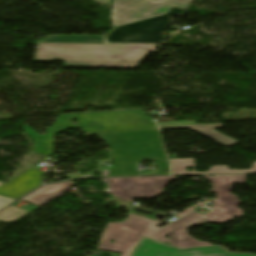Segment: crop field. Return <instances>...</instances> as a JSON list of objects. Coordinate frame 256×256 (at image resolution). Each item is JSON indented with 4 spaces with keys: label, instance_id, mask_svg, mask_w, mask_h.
<instances>
[{
    "label": "crop field",
    "instance_id": "8a807250",
    "mask_svg": "<svg viewBox=\"0 0 256 256\" xmlns=\"http://www.w3.org/2000/svg\"><path fill=\"white\" fill-rule=\"evenodd\" d=\"M204 221V215L193 212L160 229L155 226L157 221L129 215L124 222L106 223L97 250L112 251L122 253L121 256H129L142 236L161 242L168 241L171 245L180 248L209 246L210 244L194 239L186 233L187 228L203 225ZM166 235L172 238L164 239ZM110 240L115 242L110 244Z\"/></svg>",
    "mask_w": 256,
    "mask_h": 256
},
{
    "label": "crop field",
    "instance_id": "ac0d7876",
    "mask_svg": "<svg viewBox=\"0 0 256 256\" xmlns=\"http://www.w3.org/2000/svg\"><path fill=\"white\" fill-rule=\"evenodd\" d=\"M156 45L38 43L35 61L63 59L66 67H136Z\"/></svg>",
    "mask_w": 256,
    "mask_h": 256
},
{
    "label": "crop field",
    "instance_id": "34b2d1b8",
    "mask_svg": "<svg viewBox=\"0 0 256 256\" xmlns=\"http://www.w3.org/2000/svg\"><path fill=\"white\" fill-rule=\"evenodd\" d=\"M113 151L114 165L108 176L138 175L135 165L158 160L161 175L169 171L157 128L95 133ZM169 174V173H168Z\"/></svg>",
    "mask_w": 256,
    "mask_h": 256
},
{
    "label": "crop field",
    "instance_id": "412701ff",
    "mask_svg": "<svg viewBox=\"0 0 256 256\" xmlns=\"http://www.w3.org/2000/svg\"><path fill=\"white\" fill-rule=\"evenodd\" d=\"M74 118L77 124L71 123ZM71 127H84L81 132H103L156 126L142 110H132L58 116L47 128L46 135L38 134L26 124L23 131L33 138L34 152L50 155L53 154L52 136Z\"/></svg>",
    "mask_w": 256,
    "mask_h": 256
},
{
    "label": "crop field",
    "instance_id": "f4fd0767",
    "mask_svg": "<svg viewBox=\"0 0 256 256\" xmlns=\"http://www.w3.org/2000/svg\"><path fill=\"white\" fill-rule=\"evenodd\" d=\"M187 12L171 7L166 15L114 27L107 36L108 43H160L164 40L162 32L173 23L169 16L182 17Z\"/></svg>",
    "mask_w": 256,
    "mask_h": 256
},
{
    "label": "crop field",
    "instance_id": "dd49c442",
    "mask_svg": "<svg viewBox=\"0 0 256 256\" xmlns=\"http://www.w3.org/2000/svg\"><path fill=\"white\" fill-rule=\"evenodd\" d=\"M192 0H113L112 27L165 14L171 6L188 8Z\"/></svg>",
    "mask_w": 256,
    "mask_h": 256
},
{
    "label": "crop field",
    "instance_id": "e52e79f7",
    "mask_svg": "<svg viewBox=\"0 0 256 256\" xmlns=\"http://www.w3.org/2000/svg\"><path fill=\"white\" fill-rule=\"evenodd\" d=\"M213 184L211 192L217 194L213 200L215 209L205 214L208 216L207 222L227 223L233 218L243 217L244 215L236 208L240 201L235 195L228 194L232 183L245 184V175L242 176H203Z\"/></svg>",
    "mask_w": 256,
    "mask_h": 256
},
{
    "label": "crop field",
    "instance_id": "d8731c3e",
    "mask_svg": "<svg viewBox=\"0 0 256 256\" xmlns=\"http://www.w3.org/2000/svg\"><path fill=\"white\" fill-rule=\"evenodd\" d=\"M176 177H132L105 179L114 196L131 201L132 198H150L163 193V189ZM112 180L113 183H109ZM132 202V201H131Z\"/></svg>",
    "mask_w": 256,
    "mask_h": 256
},
{
    "label": "crop field",
    "instance_id": "5a996713",
    "mask_svg": "<svg viewBox=\"0 0 256 256\" xmlns=\"http://www.w3.org/2000/svg\"><path fill=\"white\" fill-rule=\"evenodd\" d=\"M130 256H256L250 253H230L224 247L209 246L180 249L168 244L142 237Z\"/></svg>",
    "mask_w": 256,
    "mask_h": 256
},
{
    "label": "crop field",
    "instance_id": "3316defc",
    "mask_svg": "<svg viewBox=\"0 0 256 256\" xmlns=\"http://www.w3.org/2000/svg\"><path fill=\"white\" fill-rule=\"evenodd\" d=\"M42 174V172L30 169L15 179L9 180L10 182L0 186V195L17 199L39 187Z\"/></svg>",
    "mask_w": 256,
    "mask_h": 256
},
{
    "label": "crop field",
    "instance_id": "28ad6ade",
    "mask_svg": "<svg viewBox=\"0 0 256 256\" xmlns=\"http://www.w3.org/2000/svg\"><path fill=\"white\" fill-rule=\"evenodd\" d=\"M75 184L76 183L69 181L56 185H48L36 190L35 192L27 195L21 200L41 206L52 200L53 198L59 196L60 194L66 192Z\"/></svg>",
    "mask_w": 256,
    "mask_h": 256
},
{
    "label": "crop field",
    "instance_id": "d1516ede",
    "mask_svg": "<svg viewBox=\"0 0 256 256\" xmlns=\"http://www.w3.org/2000/svg\"><path fill=\"white\" fill-rule=\"evenodd\" d=\"M173 174H230L256 172V162H253L250 170H228L227 166H213L208 172H194L192 159H170ZM192 166L193 172H186L185 167Z\"/></svg>",
    "mask_w": 256,
    "mask_h": 256
},
{
    "label": "crop field",
    "instance_id": "22f410ed",
    "mask_svg": "<svg viewBox=\"0 0 256 256\" xmlns=\"http://www.w3.org/2000/svg\"><path fill=\"white\" fill-rule=\"evenodd\" d=\"M171 128H189L195 132H198L226 147L236 145L237 141H234L230 138L222 136L213 131L214 128H221L220 124H212V125H197V126H182V127H167L161 129H171Z\"/></svg>",
    "mask_w": 256,
    "mask_h": 256
},
{
    "label": "crop field",
    "instance_id": "cbeb9de0",
    "mask_svg": "<svg viewBox=\"0 0 256 256\" xmlns=\"http://www.w3.org/2000/svg\"><path fill=\"white\" fill-rule=\"evenodd\" d=\"M40 42L104 43V40L103 36L50 35Z\"/></svg>",
    "mask_w": 256,
    "mask_h": 256
},
{
    "label": "crop field",
    "instance_id": "5142ce71",
    "mask_svg": "<svg viewBox=\"0 0 256 256\" xmlns=\"http://www.w3.org/2000/svg\"><path fill=\"white\" fill-rule=\"evenodd\" d=\"M29 212L19 209L13 205L8 206L3 211L0 212L1 221H12L15 220Z\"/></svg>",
    "mask_w": 256,
    "mask_h": 256
},
{
    "label": "crop field",
    "instance_id": "d9b57169",
    "mask_svg": "<svg viewBox=\"0 0 256 256\" xmlns=\"http://www.w3.org/2000/svg\"><path fill=\"white\" fill-rule=\"evenodd\" d=\"M201 204H203V203H202V202H199V203H197V204L191 206L190 208H188V209H186V210L180 212L179 214H177V216H182V215L185 214L186 212H188V211L194 209L195 207H197V206H199V205H201Z\"/></svg>",
    "mask_w": 256,
    "mask_h": 256
},
{
    "label": "crop field",
    "instance_id": "733c2abd",
    "mask_svg": "<svg viewBox=\"0 0 256 256\" xmlns=\"http://www.w3.org/2000/svg\"><path fill=\"white\" fill-rule=\"evenodd\" d=\"M99 3H102V4H105V5H109L110 6V3H111V0H95Z\"/></svg>",
    "mask_w": 256,
    "mask_h": 256
},
{
    "label": "crop field",
    "instance_id": "4a817a6b",
    "mask_svg": "<svg viewBox=\"0 0 256 256\" xmlns=\"http://www.w3.org/2000/svg\"><path fill=\"white\" fill-rule=\"evenodd\" d=\"M0 200L11 203L14 199H10V198H7V197L0 196Z\"/></svg>",
    "mask_w": 256,
    "mask_h": 256
},
{
    "label": "crop field",
    "instance_id": "bc2a9ffb",
    "mask_svg": "<svg viewBox=\"0 0 256 256\" xmlns=\"http://www.w3.org/2000/svg\"><path fill=\"white\" fill-rule=\"evenodd\" d=\"M6 205H8V203H4V202H1V201H0V208L4 207V206H6Z\"/></svg>",
    "mask_w": 256,
    "mask_h": 256
},
{
    "label": "crop field",
    "instance_id": "214f88e0",
    "mask_svg": "<svg viewBox=\"0 0 256 256\" xmlns=\"http://www.w3.org/2000/svg\"><path fill=\"white\" fill-rule=\"evenodd\" d=\"M4 184L2 181H0V185Z\"/></svg>",
    "mask_w": 256,
    "mask_h": 256
}]
</instances>
